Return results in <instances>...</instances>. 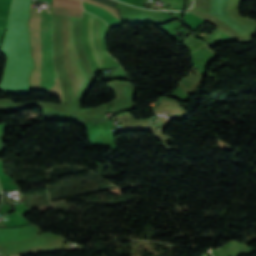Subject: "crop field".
<instances>
[{
  "label": "crop field",
  "mask_w": 256,
  "mask_h": 256,
  "mask_svg": "<svg viewBox=\"0 0 256 256\" xmlns=\"http://www.w3.org/2000/svg\"><path fill=\"white\" fill-rule=\"evenodd\" d=\"M82 1L119 18L116 4L112 0H82Z\"/></svg>",
  "instance_id": "ac0d7876"
},
{
  "label": "crop field",
  "mask_w": 256,
  "mask_h": 256,
  "mask_svg": "<svg viewBox=\"0 0 256 256\" xmlns=\"http://www.w3.org/2000/svg\"><path fill=\"white\" fill-rule=\"evenodd\" d=\"M53 14L81 17L82 5L77 0H53Z\"/></svg>",
  "instance_id": "8a807250"
}]
</instances>
